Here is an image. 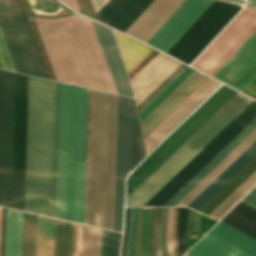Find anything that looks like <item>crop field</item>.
I'll use <instances>...</instances> for the list:
<instances>
[{
  "instance_id": "14",
  "label": "crop field",
  "mask_w": 256,
  "mask_h": 256,
  "mask_svg": "<svg viewBox=\"0 0 256 256\" xmlns=\"http://www.w3.org/2000/svg\"><path fill=\"white\" fill-rule=\"evenodd\" d=\"M92 21V20H91ZM117 93L133 97V91L113 31L92 21Z\"/></svg>"
},
{
  "instance_id": "5",
  "label": "crop field",
  "mask_w": 256,
  "mask_h": 256,
  "mask_svg": "<svg viewBox=\"0 0 256 256\" xmlns=\"http://www.w3.org/2000/svg\"><path fill=\"white\" fill-rule=\"evenodd\" d=\"M14 73L0 70V206L24 211L25 176L11 175ZM28 76L15 73L12 174L25 175Z\"/></svg>"
},
{
  "instance_id": "19",
  "label": "crop field",
  "mask_w": 256,
  "mask_h": 256,
  "mask_svg": "<svg viewBox=\"0 0 256 256\" xmlns=\"http://www.w3.org/2000/svg\"><path fill=\"white\" fill-rule=\"evenodd\" d=\"M255 156H256V141L244 153H242L224 172H222L188 206L198 211L209 199H211L233 176H235Z\"/></svg>"
},
{
  "instance_id": "13",
  "label": "crop field",
  "mask_w": 256,
  "mask_h": 256,
  "mask_svg": "<svg viewBox=\"0 0 256 256\" xmlns=\"http://www.w3.org/2000/svg\"><path fill=\"white\" fill-rule=\"evenodd\" d=\"M220 85V83L208 78L200 87H198L144 139L146 154L148 155Z\"/></svg>"
},
{
  "instance_id": "43",
  "label": "crop field",
  "mask_w": 256,
  "mask_h": 256,
  "mask_svg": "<svg viewBox=\"0 0 256 256\" xmlns=\"http://www.w3.org/2000/svg\"><path fill=\"white\" fill-rule=\"evenodd\" d=\"M244 93L256 98V79L250 84Z\"/></svg>"
},
{
  "instance_id": "49",
  "label": "crop field",
  "mask_w": 256,
  "mask_h": 256,
  "mask_svg": "<svg viewBox=\"0 0 256 256\" xmlns=\"http://www.w3.org/2000/svg\"><path fill=\"white\" fill-rule=\"evenodd\" d=\"M250 1H256V0H250Z\"/></svg>"
},
{
  "instance_id": "47",
  "label": "crop field",
  "mask_w": 256,
  "mask_h": 256,
  "mask_svg": "<svg viewBox=\"0 0 256 256\" xmlns=\"http://www.w3.org/2000/svg\"><path fill=\"white\" fill-rule=\"evenodd\" d=\"M103 240H104V230L102 229V239H101V256H103Z\"/></svg>"
},
{
  "instance_id": "6",
  "label": "crop field",
  "mask_w": 256,
  "mask_h": 256,
  "mask_svg": "<svg viewBox=\"0 0 256 256\" xmlns=\"http://www.w3.org/2000/svg\"><path fill=\"white\" fill-rule=\"evenodd\" d=\"M256 31V10L243 8L193 67L215 76ZM240 91L256 78V32L214 77Z\"/></svg>"
},
{
  "instance_id": "37",
  "label": "crop field",
  "mask_w": 256,
  "mask_h": 256,
  "mask_svg": "<svg viewBox=\"0 0 256 256\" xmlns=\"http://www.w3.org/2000/svg\"><path fill=\"white\" fill-rule=\"evenodd\" d=\"M136 217H137V208H133L132 231H131V241H130V256H134Z\"/></svg>"
},
{
  "instance_id": "7",
  "label": "crop field",
  "mask_w": 256,
  "mask_h": 256,
  "mask_svg": "<svg viewBox=\"0 0 256 256\" xmlns=\"http://www.w3.org/2000/svg\"><path fill=\"white\" fill-rule=\"evenodd\" d=\"M251 101L237 92L126 198V206H142Z\"/></svg>"
},
{
  "instance_id": "41",
  "label": "crop field",
  "mask_w": 256,
  "mask_h": 256,
  "mask_svg": "<svg viewBox=\"0 0 256 256\" xmlns=\"http://www.w3.org/2000/svg\"><path fill=\"white\" fill-rule=\"evenodd\" d=\"M128 216H129V208H126L124 238H123V246H122L121 256H125V245H126V237H127V229H128Z\"/></svg>"
},
{
  "instance_id": "33",
  "label": "crop field",
  "mask_w": 256,
  "mask_h": 256,
  "mask_svg": "<svg viewBox=\"0 0 256 256\" xmlns=\"http://www.w3.org/2000/svg\"><path fill=\"white\" fill-rule=\"evenodd\" d=\"M150 215H151V208H144L142 237H141L142 256H150L149 254Z\"/></svg>"
},
{
  "instance_id": "36",
  "label": "crop field",
  "mask_w": 256,
  "mask_h": 256,
  "mask_svg": "<svg viewBox=\"0 0 256 256\" xmlns=\"http://www.w3.org/2000/svg\"><path fill=\"white\" fill-rule=\"evenodd\" d=\"M121 234L112 231L111 256H119Z\"/></svg>"
},
{
  "instance_id": "45",
  "label": "crop field",
  "mask_w": 256,
  "mask_h": 256,
  "mask_svg": "<svg viewBox=\"0 0 256 256\" xmlns=\"http://www.w3.org/2000/svg\"><path fill=\"white\" fill-rule=\"evenodd\" d=\"M63 1L65 4H67L69 7L75 9L78 11V7H77V4H76V0H61Z\"/></svg>"
},
{
  "instance_id": "42",
  "label": "crop field",
  "mask_w": 256,
  "mask_h": 256,
  "mask_svg": "<svg viewBox=\"0 0 256 256\" xmlns=\"http://www.w3.org/2000/svg\"><path fill=\"white\" fill-rule=\"evenodd\" d=\"M177 212H178V208H175L174 228H173V239H174V245H175L176 256H179V253H178V246H177V241H176Z\"/></svg>"
},
{
  "instance_id": "22",
  "label": "crop field",
  "mask_w": 256,
  "mask_h": 256,
  "mask_svg": "<svg viewBox=\"0 0 256 256\" xmlns=\"http://www.w3.org/2000/svg\"><path fill=\"white\" fill-rule=\"evenodd\" d=\"M23 212L6 210L4 256H20Z\"/></svg>"
},
{
  "instance_id": "32",
  "label": "crop field",
  "mask_w": 256,
  "mask_h": 256,
  "mask_svg": "<svg viewBox=\"0 0 256 256\" xmlns=\"http://www.w3.org/2000/svg\"><path fill=\"white\" fill-rule=\"evenodd\" d=\"M193 69L188 68L179 78H177L154 102H152L140 115V121L150 113L175 87H177Z\"/></svg>"
},
{
  "instance_id": "48",
  "label": "crop field",
  "mask_w": 256,
  "mask_h": 256,
  "mask_svg": "<svg viewBox=\"0 0 256 256\" xmlns=\"http://www.w3.org/2000/svg\"><path fill=\"white\" fill-rule=\"evenodd\" d=\"M1 216H2V208L0 207V233H1Z\"/></svg>"
},
{
  "instance_id": "38",
  "label": "crop field",
  "mask_w": 256,
  "mask_h": 256,
  "mask_svg": "<svg viewBox=\"0 0 256 256\" xmlns=\"http://www.w3.org/2000/svg\"><path fill=\"white\" fill-rule=\"evenodd\" d=\"M160 217H161V208H158L157 222H156V236H155V251L157 256H161V250L159 245Z\"/></svg>"
},
{
  "instance_id": "16",
  "label": "crop field",
  "mask_w": 256,
  "mask_h": 256,
  "mask_svg": "<svg viewBox=\"0 0 256 256\" xmlns=\"http://www.w3.org/2000/svg\"><path fill=\"white\" fill-rule=\"evenodd\" d=\"M180 64L159 53L131 80L135 92L136 104L138 105Z\"/></svg>"
},
{
  "instance_id": "12",
  "label": "crop field",
  "mask_w": 256,
  "mask_h": 256,
  "mask_svg": "<svg viewBox=\"0 0 256 256\" xmlns=\"http://www.w3.org/2000/svg\"><path fill=\"white\" fill-rule=\"evenodd\" d=\"M185 254L189 256H256V240L220 220Z\"/></svg>"
},
{
  "instance_id": "25",
  "label": "crop field",
  "mask_w": 256,
  "mask_h": 256,
  "mask_svg": "<svg viewBox=\"0 0 256 256\" xmlns=\"http://www.w3.org/2000/svg\"><path fill=\"white\" fill-rule=\"evenodd\" d=\"M115 31V30H114ZM127 72L133 69L153 49L115 31Z\"/></svg>"
},
{
  "instance_id": "15",
  "label": "crop field",
  "mask_w": 256,
  "mask_h": 256,
  "mask_svg": "<svg viewBox=\"0 0 256 256\" xmlns=\"http://www.w3.org/2000/svg\"><path fill=\"white\" fill-rule=\"evenodd\" d=\"M207 78L208 77L203 74L195 71L188 79H186L173 93H171L140 122L143 137L145 138Z\"/></svg>"
},
{
  "instance_id": "31",
  "label": "crop field",
  "mask_w": 256,
  "mask_h": 256,
  "mask_svg": "<svg viewBox=\"0 0 256 256\" xmlns=\"http://www.w3.org/2000/svg\"><path fill=\"white\" fill-rule=\"evenodd\" d=\"M188 208L179 207L177 239L180 256L188 249L185 241V228L188 215Z\"/></svg>"
},
{
  "instance_id": "24",
  "label": "crop field",
  "mask_w": 256,
  "mask_h": 256,
  "mask_svg": "<svg viewBox=\"0 0 256 256\" xmlns=\"http://www.w3.org/2000/svg\"><path fill=\"white\" fill-rule=\"evenodd\" d=\"M255 170H256V157L252 161H250L235 177H233L211 200H209L199 210V212L208 216Z\"/></svg>"
},
{
  "instance_id": "29",
  "label": "crop field",
  "mask_w": 256,
  "mask_h": 256,
  "mask_svg": "<svg viewBox=\"0 0 256 256\" xmlns=\"http://www.w3.org/2000/svg\"><path fill=\"white\" fill-rule=\"evenodd\" d=\"M256 184V171L242 183L220 206H218L209 217L218 220L226 213L246 192ZM247 194V193H246ZM245 194V195H246ZM225 215V214H224Z\"/></svg>"
},
{
  "instance_id": "44",
  "label": "crop field",
  "mask_w": 256,
  "mask_h": 256,
  "mask_svg": "<svg viewBox=\"0 0 256 256\" xmlns=\"http://www.w3.org/2000/svg\"><path fill=\"white\" fill-rule=\"evenodd\" d=\"M108 0H92L96 13Z\"/></svg>"
},
{
  "instance_id": "30",
  "label": "crop field",
  "mask_w": 256,
  "mask_h": 256,
  "mask_svg": "<svg viewBox=\"0 0 256 256\" xmlns=\"http://www.w3.org/2000/svg\"><path fill=\"white\" fill-rule=\"evenodd\" d=\"M187 67L180 65L171 75H169L149 96H147L138 106V113L147 107L159 94H161Z\"/></svg>"
},
{
  "instance_id": "28",
  "label": "crop field",
  "mask_w": 256,
  "mask_h": 256,
  "mask_svg": "<svg viewBox=\"0 0 256 256\" xmlns=\"http://www.w3.org/2000/svg\"><path fill=\"white\" fill-rule=\"evenodd\" d=\"M37 215L24 212L22 256H35Z\"/></svg>"
},
{
  "instance_id": "21",
  "label": "crop field",
  "mask_w": 256,
  "mask_h": 256,
  "mask_svg": "<svg viewBox=\"0 0 256 256\" xmlns=\"http://www.w3.org/2000/svg\"><path fill=\"white\" fill-rule=\"evenodd\" d=\"M256 140V129L236 147L213 171H211L188 195L176 206H187L200 194L222 171H224L242 152Z\"/></svg>"
},
{
  "instance_id": "17",
  "label": "crop field",
  "mask_w": 256,
  "mask_h": 256,
  "mask_svg": "<svg viewBox=\"0 0 256 256\" xmlns=\"http://www.w3.org/2000/svg\"><path fill=\"white\" fill-rule=\"evenodd\" d=\"M154 0H109L97 13L100 21L125 32Z\"/></svg>"
},
{
  "instance_id": "9",
  "label": "crop field",
  "mask_w": 256,
  "mask_h": 256,
  "mask_svg": "<svg viewBox=\"0 0 256 256\" xmlns=\"http://www.w3.org/2000/svg\"><path fill=\"white\" fill-rule=\"evenodd\" d=\"M145 157L134 99L118 96L114 230L122 231L124 178Z\"/></svg>"
},
{
  "instance_id": "46",
  "label": "crop field",
  "mask_w": 256,
  "mask_h": 256,
  "mask_svg": "<svg viewBox=\"0 0 256 256\" xmlns=\"http://www.w3.org/2000/svg\"><path fill=\"white\" fill-rule=\"evenodd\" d=\"M131 217H132V208H130V217H129V232H128L127 256H129V237H130V230H131Z\"/></svg>"
},
{
  "instance_id": "39",
  "label": "crop field",
  "mask_w": 256,
  "mask_h": 256,
  "mask_svg": "<svg viewBox=\"0 0 256 256\" xmlns=\"http://www.w3.org/2000/svg\"><path fill=\"white\" fill-rule=\"evenodd\" d=\"M241 201L256 209V187L251 192H249Z\"/></svg>"
},
{
  "instance_id": "34",
  "label": "crop field",
  "mask_w": 256,
  "mask_h": 256,
  "mask_svg": "<svg viewBox=\"0 0 256 256\" xmlns=\"http://www.w3.org/2000/svg\"><path fill=\"white\" fill-rule=\"evenodd\" d=\"M173 217H174V208H169L168 221H167V235H166L169 256H175L173 239H172Z\"/></svg>"
},
{
  "instance_id": "35",
  "label": "crop field",
  "mask_w": 256,
  "mask_h": 256,
  "mask_svg": "<svg viewBox=\"0 0 256 256\" xmlns=\"http://www.w3.org/2000/svg\"><path fill=\"white\" fill-rule=\"evenodd\" d=\"M0 60L4 69L15 71L13 68L12 62L10 60L9 54L7 52L6 46L4 44L3 38L1 36V33H0Z\"/></svg>"
},
{
  "instance_id": "20",
  "label": "crop field",
  "mask_w": 256,
  "mask_h": 256,
  "mask_svg": "<svg viewBox=\"0 0 256 256\" xmlns=\"http://www.w3.org/2000/svg\"><path fill=\"white\" fill-rule=\"evenodd\" d=\"M72 256H100L101 229L73 223Z\"/></svg>"
},
{
  "instance_id": "40",
  "label": "crop field",
  "mask_w": 256,
  "mask_h": 256,
  "mask_svg": "<svg viewBox=\"0 0 256 256\" xmlns=\"http://www.w3.org/2000/svg\"><path fill=\"white\" fill-rule=\"evenodd\" d=\"M111 231L105 230L104 256H110Z\"/></svg>"
},
{
  "instance_id": "50",
  "label": "crop field",
  "mask_w": 256,
  "mask_h": 256,
  "mask_svg": "<svg viewBox=\"0 0 256 256\" xmlns=\"http://www.w3.org/2000/svg\"><path fill=\"white\" fill-rule=\"evenodd\" d=\"M186 256V255H185Z\"/></svg>"
},
{
  "instance_id": "10",
  "label": "crop field",
  "mask_w": 256,
  "mask_h": 256,
  "mask_svg": "<svg viewBox=\"0 0 256 256\" xmlns=\"http://www.w3.org/2000/svg\"><path fill=\"white\" fill-rule=\"evenodd\" d=\"M235 93L236 91L222 85L211 97H209L186 121H184L142 162V164L133 172V174L131 173L132 175L128 178L126 197Z\"/></svg>"
},
{
  "instance_id": "27",
  "label": "crop field",
  "mask_w": 256,
  "mask_h": 256,
  "mask_svg": "<svg viewBox=\"0 0 256 256\" xmlns=\"http://www.w3.org/2000/svg\"><path fill=\"white\" fill-rule=\"evenodd\" d=\"M72 223L55 219L53 256H71Z\"/></svg>"
},
{
  "instance_id": "1",
  "label": "crop field",
  "mask_w": 256,
  "mask_h": 256,
  "mask_svg": "<svg viewBox=\"0 0 256 256\" xmlns=\"http://www.w3.org/2000/svg\"><path fill=\"white\" fill-rule=\"evenodd\" d=\"M58 99V82L29 76L25 210L51 217L56 201ZM87 105L88 89L60 83L56 217L83 224Z\"/></svg>"
},
{
  "instance_id": "8",
  "label": "crop field",
  "mask_w": 256,
  "mask_h": 256,
  "mask_svg": "<svg viewBox=\"0 0 256 256\" xmlns=\"http://www.w3.org/2000/svg\"><path fill=\"white\" fill-rule=\"evenodd\" d=\"M0 30L16 71L50 79L21 0H0Z\"/></svg>"
},
{
  "instance_id": "4",
  "label": "crop field",
  "mask_w": 256,
  "mask_h": 256,
  "mask_svg": "<svg viewBox=\"0 0 256 256\" xmlns=\"http://www.w3.org/2000/svg\"><path fill=\"white\" fill-rule=\"evenodd\" d=\"M116 112L117 96L89 89L85 224L111 230Z\"/></svg>"
},
{
  "instance_id": "23",
  "label": "crop field",
  "mask_w": 256,
  "mask_h": 256,
  "mask_svg": "<svg viewBox=\"0 0 256 256\" xmlns=\"http://www.w3.org/2000/svg\"><path fill=\"white\" fill-rule=\"evenodd\" d=\"M221 220L256 239V210L239 202Z\"/></svg>"
},
{
  "instance_id": "26",
  "label": "crop field",
  "mask_w": 256,
  "mask_h": 256,
  "mask_svg": "<svg viewBox=\"0 0 256 256\" xmlns=\"http://www.w3.org/2000/svg\"><path fill=\"white\" fill-rule=\"evenodd\" d=\"M54 219L38 215L36 256H52Z\"/></svg>"
},
{
  "instance_id": "11",
  "label": "crop field",
  "mask_w": 256,
  "mask_h": 256,
  "mask_svg": "<svg viewBox=\"0 0 256 256\" xmlns=\"http://www.w3.org/2000/svg\"><path fill=\"white\" fill-rule=\"evenodd\" d=\"M255 116L256 101L253 100L143 206H163Z\"/></svg>"
},
{
  "instance_id": "18",
  "label": "crop field",
  "mask_w": 256,
  "mask_h": 256,
  "mask_svg": "<svg viewBox=\"0 0 256 256\" xmlns=\"http://www.w3.org/2000/svg\"><path fill=\"white\" fill-rule=\"evenodd\" d=\"M256 128V118L250 122L229 144H227L203 169H201L182 189L164 206H175L211 170H213L236 146Z\"/></svg>"
},
{
  "instance_id": "2",
  "label": "crop field",
  "mask_w": 256,
  "mask_h": 256,
  "mask_svg": "<svg viewBox=\"0 0 256 256\" xmlns=\"http://www.w3.org/2000/svg\"><path fill=\"white\" fill-rule=\"evenodd\" d=\"M184 1L155 0L126 33L147 43ZM212 1L186 0L148 43L166 52ZM239 9L214 0L166 53L190 64Z\"/></svg>"
},
{
  "instance_id": "3",
  "label": "crop field",
  "mask_w": 256,
  "mask_h": 256,
  "mask_svg": "<svg viewBox=\"0 0 256 256\" xmlns=\"http://www.w3.org/2000/svg\"><path fill=\"white\" fill-rule=\"evenodd\" d=\"M33 18L57 80L117 94L89 19Z\"/></svg>"
}]
</instances>
